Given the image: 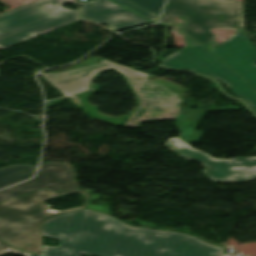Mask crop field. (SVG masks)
Masks as SVG:
<instances>
[{
    "label": "crop field",
    "mask_w": 256,
    "mask_h": 256,
    "mask_svg": "<svg viewBox=\"0 0 256 256\" xmlns=\"http://www.w3.org/2000/svg\"><path fill=\"white\" fill-rule=\"evenodd\" d=\"M173 16H187V26L176 27H190L182 32L204 44L217 37L208 28L243 29L239 0H169L160 22L169 25Z\"/></svg>",
    "instance_id": "crop-field-5"
},
{
    "label": "crop field",
    "mask_w": 256,
    "mask_h": 256,
    "mask_svg": "<svg viewBox=\"0 0 256 256\" xmlns=\"http://www.w3.org/2000/svg\"><path fill=\"white\" fill-rule=\"evenodd\" d=\"M43 235L62 240L43 256H221L224 249L189 234L129 226L104 213L81 210L54 216Z\"/></svg>",
    "instance_id": "crop-field-1"
},
{
    "label": "crop field",
    "mask_w": 256,
    "mask_h": 256,
    "mask_svg": "<svg viewBox=\"0 0 256 256\" xmlns=\"http://www.w3.org/2000/svg\"><path fill=\"white\" fill-rule=\"evenodd\" d=\"M79 192L86 199L79 208L62 211L48 210L51 206L42 201ZM91 193L81 189L54 192L47 189L35 191L0 203V238L14 247L42 256V224L58 214L85 209Z\"/></svg>",
    "instance_id": "crop-field-3"
},
{
    "label": "crop field",
    "mask_w": 256,
    "mask_h": 256,
    "mask_svg": "<svg viewBox=\"0 0 256 256\" xmlns=\"http://www.w3.org/2000/svg\"><path fill=\"white\" fill-rule=\"evenodd\" d=\"M222 256H230V255H225V254H223Z\"/></svg>",
    "instance_id": "crop-field-16"
},
{
    "label": "crop field",
    "mask_w": 256,
    "mask_h": 256,
    "mask_svg": "<svg viewBox=\"0 0 256 256\" xmlns=\"http://www.w3.org/2000/svg\"><path fill=\"white\" fill-rule=\"evenodd\" d=\"M113 67L122 72L141 101L123 127L139 128L143 121L176 119L181 98L159 83L146 81L148 74L103 59L100 64L63 73L41 74L67 97L89 89V80L97 72ZM179 104V103H178Z\"/></svg>",
    "instance_id": "crop-field-2"
},
{
    "label": "crop field",
    "mask_w": 256,
    "mask_h": 256,
    "mask_svg": "<svg viewBox=\"0 0 256 256\" xmlns=\"http://www.w3.org/2000/svg\"><path fill=\"white\" fill-rule=\"evenodd\" d=\"M32 256H36V255H33V254H32Z\"/></svg>",
    "instance_id": "crop-field-17"
},
{
    "label": "crop field",
    "mask_w": 256,
    "mask_h": 256,
    "mask_svg": "<svg viewBox=\"0 0 256 256\" xmlns=\"http://www.w3.org/2000/svg\"><path fill=\"white\" fill-rule=\"evenodd\" d=\"M33 165H14L0 169V188L25 180L35 174Z\"/></svg>",
    "instance_id": "crop-field-11"
},
{
    "label": "crop field",
    "mask_w": 256,
    "mask_h": 256,
    "mask_svg": "<svg viewBox=\"0 0 256 256\" xmlns=\"http://www.w3.org/2000/svg\"><path fill=\"white\" fill-rule=\"evenodd\" d=\"M8 251H11L13 253H16V254H19V255H23V256H31L30 253H24L22 251H19V250L15 249V248L5 244L4 242H2L0 240V254L6 253Z\"/></svg>",
    "instance_id": "crop-field-15"
},
{
    "label": "crop field",
    "mask_w": 256,
    "mask_h": 256,
    "mask_svg": "<svg viewBox=\"0 0 256 256\" xmlns=\"http://www.w3.org/2000/svg\"><path fill=\"white\" fill-rule=\"evenodd\" d=\"M70 0H40L0 16V47L6 48L79 20Z\"/></svg>",
    "instance_id": "crop-field-6"
},
{
    "label": "crop field",
    "mask_w": 256,
    "mask_h": 256,
    "mask_svg": "<svg viewBox=\"0 0 256 256\" xmlns=\"http://www.w3.org/2000/svg\"><path fill=\"white\" fill-rule=\"evenodd\" d=\"M116 1H118L119 3L127 6L128 8H130V9L136 11L137 13H139L147 18H150L154 21H156V19L158 17V15L138 6L137 4L131 2L130 0H116Z\"/></svg>",
    "instance_id": "crop-field-12"
},
{
    "label": "crop field",
    "mask_w": 256,
    "mask_h": 256,
    "mask_svg": "<svg viewBox=\"0 0 256 256\" xmlns=\"http://www.w3.org/2000/svg\"><path fill=\"white\" fill-rule=\"evenodd\" d=\"M62 191L79 188L67 163L41 164L37 176L25 183L0 191V202L38 189Z\"/></svg>",
    "instance_id": "crop-field-8"
},
{
    "label": "crop field",
    "mask_w": 256,
    "mask_h": 256,
    "mask_svg": "<svg viewBox=\"0 0 256 256\" xmlns=\"http://www.w3.org/2000/svg\"><path fill=\"white\" fill-rule=\"evenodd\" d=\"M207 46L256 91V47L246 34L238 32L216 48Z\"/></svg>",
    "instance_id": "crop-field-9"
},
{
    "label": "crop field",
    "mask_w": 256,
    "mask_h": 256,
    "mask_svg": "<svg viewBox=\"0 0 256 256\" xmlns=\"http://www.w3.org/2000/svg\"><path fill=\"white\" fill-rule=\"evenodd\" d=\"M207 49L204 46L182 48L168 55L161 65L176 69H191L221 80L234 95L245 99L256 112V94L238 75Z\"/></svg>",
    "instance_id": "crop-field-7"
},
{
    "label": "crop field",
    "mask_w": 256,
    "mask_h": 256,
    "mask_svg": "<svg viewBox=\"0 0 256 256\" xmlns=\"http://www.w3.org/2000/svg\"><path fill=\"white\" fill-rule=\"evenodd\" d=\"M101 195L97 194V193H93L91 198H90V201H89V204L87 206L88 209H92V210H96V211H100V212H104L106 214H110L109 212V208L110 206L108 205H91L92 201L93 200H99Z\"/></svg>",
    "instance_id": "crop-field-14"
},
{
    "label": "crop field",
    "mask_w": 256,
    "mask_h": 256,
    "mask_svg": "<svg viewBox=\"0 0 256 256\" xmlns=\"http://www.w3.org/2000/svg\"><path fill=\"white\" fill-rule=\"evenodd\" d=\"M110 0H96L81 4L82 19H90L112 26L113 30L150 23Z\"/></svg>",
    "instance_id": "crop-field-10"
},
{
    "label": "crop field",
    "mask_w": 256,
    "mask_h": 256,
    "mask_svg": "<svg viewBox=\"0 0 256 256\" xmlns=\"http://www.w3.org/2000/svg\"><path fill=\"white\" fill-rule=\"evenodd\" d=\"M246 107H227L216 109H194L181 111L175 125L181 130L178 138H170L166 146L186 159L202 162L206 170L202 171L215 182H244L256 178V157L235 158L231 160L214 159L213 157L194 150L189 143L199 142L203 133L195 131L206 111L226 109H242ZM201 112L200 118L196 121Z\"/></svg>",
    "instance_id": "crop-field-4"
},
{
    "label": "crop field",
    "mask_w": 256,
    "mask_h": 256,
    "mask_svg": "<svg viewBox=\"0 0 256 256\" xmlns=\"http://www.w3.org/2000/svg\"><path fill=\"white\" fill-rule=\"evenodd\" d=\"M138 5L159 14L165 0H131Z\"/></svg>",
    "instance_id": "crop-field-13"
}]
</instances>
